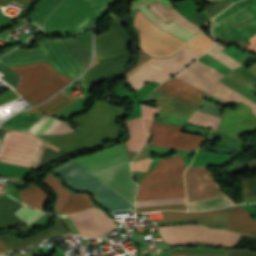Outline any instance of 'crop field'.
Here are the masks:
<instances>
[{"mask_svg": "<svg viewBox=\"0 0 256 256\" xmlns=\"http://www.w3.org/2000/svg\"><path fill=\"white\" fill-rule=\"evenodd\" d=\"M52 170L59 174L70 188L92 193L112 214L134 211L132 204L137 185L131 181L128 161L91 173L132 204L71 160Z\"/></svg>", "mask_w": 256, "mask_h": 256, "instance_id": "obj_1", "label": "crop field"}, {"mask_svg": "<svg viewBox=\"0 0 256 256\" xmlns=\"http://www.w3.org/2000/svg\"><path fill=\"white\" fill-rule=\"evenodd\" d=\"M124 110L94 100L85 114L73 116L71 122L77 126L78 130L67 135L36 136L68 152L89 148L120 136L115 120Z\"/></svg>", "mask_w": 256, "mask_h": 256, "instance_id": "obj_2", "label": "crop field"}, {"mask_svg": "<svg viewBox=\"0 0 256 256\" xmlns=\"http://www.w3.org/2000/svg\"><path fill=\"white\" fill-rule=\"evenodd\" d=\"M12 132L0 128V143ZM48 144L27 132L14 131L1 143L0 161L40 169L56 152L48 148ZM67 154V151L58 150L46 164Z\"/></svg>", "mask_w": 256, "mask_h": 256, "instance_id": "obj_3", "label": "crop field"}, {"mask_svg": "<svg viewBox=\"0 0 256 256\" xmlns=\"http://www.w3.org/2000/svg\"><path fill=\"white\" fill-rule=\"evenodd\" d=\"M214 37L239 43L256 34V0H242L234 3L214 19ZM256 54V35L238 44Z\"/></svg>", "mask_w": 256, "mask_h": 256, "instance_id": "obj_4", "label": "crop field"}, {"mask_svg": "<svg viewBox=\"0 0 256 256\" xmlns=\"http://www.w3.org/2000/svg\"><path fill=\"white\" fill-rule=\"evenodd\" d=\"M183 158L175 154L160 162L142 180L136 200L185 196Z\"/></svg>", "mask_w": 256, "mask_h": 256, "instance_id": "obj_5", "label": "crop field"}, {"mask_svg": "<svg viewBox=\"0 0 256 256\" xmlns=\"http://www.w3.org/2000/svg\"><path fill=\"white\" fill-rule=\"evenodd\" d=\"M10 68L20 77L16 91L33 105L46 100L71 81L46 62Z\"/></svg>", "mask_w": 256, "mask_h": 256, "instance_id": "obj_6", "label": "crop field"}, {"mask_svg": "<svg viewBox=\"0 0 256 256\" xmlns=\"http://www.w3.org/2000/svg\"><path fill=\"white\" fill-rule=\"evenodd\" d=\"M102 6L93 0H64L41 26L49 34H71L91 26Z\"/></svg>", "mask_w": 256, "mask_h": 256, "instance_id": "obj_7", "label": "crop field"}, {"mask_svg": "<svg viewBox=\"0 0 256 256\" xmlns=\"http://www.w3.org/2000/svg\"><path fill=\"white\" fill-rule=\"evenodd\" d=\"M160 233L165 241L176 245L206 244L221 247H234L239 234L210 230L199 225L161 226Z\"/></svg>", "mask_w": 256, "mask_h": 256, "instance_id": "obj_8", "label": "crop field"}, {"mask_svg": "<svg viewBox=\"0 0 256 256\" xmlns=\"http://www.w3.org/2000/svg\"><path fill=\"white\" fill-rule=\"evenodd\" d=\"M222 73L211 66H207L196 60L191 66L184 69L175 77L223 100V101H241L253 108L256 114V105L243 98L233 90L223 85L218 80L224 77Z\"/></svg>", "mask_w": 256, "mask_h": 256, "instance_id": "obj_9", "label": "crop field"}, {"mask_svg": "<svg viewBox=\"0 0 256 256\" xmlns=\"http://www.w3.org/2000/svg\"><path fill=\"white\" fill-rule=\"evenodd\" d=\"M140 48L154 58L174 55L186 42L157 28L140 11L135 19Z\"/></svg>", "mask_w": 256, "mask_h": 256, "instance_id": "obj_10", "label": "crop field"}, {"mask_svg": "<svg viewBox=\"0 0 256 256\" xmlns=\"http://www.w3.org/2000/svg\"><path fill=\"white\" fill-rule=\"evenodd\" d=\"M197 56L198 54L183 48L176 56L151 61L126 79L138 89L152 80L161 83L185 68Z\"/></svg>", "mask_w": 256, "mask_h": 256, "instance_id": "obj_11", "label": "crop field"}, {"mask_svg": "<svg viewBox=\"0 0 256 256\" xmlns=\"http://www.w3.org/2000/svg\"><path fill=\"white\" fill-rule=\"evenodd\" d=\"M37 44L39 46L37 48L30 50L16 49L4 55L0 58V64L11 66L46 60L51 63L58 72L70 78L77 77L62 60L49 38L37 42Z\"/></svg>", "mask_w": 256, "mask_h": 256, "instance_id": "obj_12", "label": "crop field"}, {"mask_svg": "<svg viewBox=\"0 0 256 256\" xmlns=\"http://www.w3.org/2000/svg\"><path fill=\"white\" fill-rule=\"evenodd\" d=\"M163 214L165 219L226 214L228 230L256 237V221L251 220L247 211L241 205L204 212L163 211Z\"/></svg>", "mask_w": 256, "mask_h": 256, "instance_id": "obj_13", "label": "crop field"}, {"mask_svg": "<svg viewBox=\"0 0 256 256\" xmlns=\"http://www.w3.org/2000/svg\"><path fill=\"white\" fill-rule=\"evenodd\" d=\"M181 126L153 123L151 145L196 151L204 137L180 132Z\"/></svg>", "mask_w": 256, "mask_h": 256, "instance_id": "obj_14", "label": "crop field"}, {"mask_svg": "<svg viewBox=\"0 0 256 256\" xmlns=\"http://www.w3.org/2000/svg\"><path fill=\"white\" fill-rule=\"evenodd\" d=\"M70 217L83 237L98 239L118 229L112 220L96 209L71 214Z\"/></svg>", "mask_w": 256, "mask_h": 256, "instance_id": "obj_15", "label": "crop field"}, {"mask_svg": "<svg viewBox=\"0 0 256 256\" xmlns=\"http://www.w3.org/2000/svg\"><path fill=\"white\" fill-rule=\"evenodd\" d=\"M253 109L238 104L237 110L225 109L223 112V121L219 131L238 138L242 132L252 131L256 128V116L251 112Z\"/></svg>", "mask_w": 256, "mask_h": 256, "instance_id": "obj_16", "label": "crop field"}, {"mask_svg": "<svg viewBox=\"0 0 256 256\" xmlns=\"http://www.w3.org/2000/svg\"><path fill=\"white\" fill-rule=\"evenodd\" d=\"M127 159H129L127 151L124 145L121 144L94 155L74 159L73 161L91 172Z\"/></svg>", "mask_w": 256, "mask_h": 256, "instance_id": "obj_17", "label": "crop field"}, {"mask_svg": "<svg viewBox=\"0 0 256 256\" xmlns=\"http://www.w3.org/2000/svg\"><path fill=\"white\" fill-rule=\"evenodd\" d=\"M157 89L176 97L180 100H183L187 103H190L196 107H199L203 101L207 93L177 79L173 78L165 83H163Z\"/></svg>", "mask_w": 256, "mask_h": 256, "instance_id": "obj_18", "label": "crop field"}, {"mask_svg": "<svg viewBox=\"0 0 256 256\" xmlns=\"http://www.w3.org/2000/svg\"><path fill=\"white\" fill-rule=\"evenodd\" d=\"M149 100H156L157 106L161 107L159 113L163 114H170L189 118L192 113L197 111V108L185 102L177 100L169 95H166L158 90L153 92L146 101Z\"/></svg>", "mask_w": 256, "mask_h": 256, "instance_id": "obj_19", "label": "crop field"}, {"mask_svg": "<svg viewBox=\"0 0 256 256\" xmlns=\"http://www.w3.org/2000/svg\"><path fill=\"white\" fill-rule=\"evenodd\" d=\"M95 44L99 58L117 56L128 52L125 42L112 28L96 36Z\"/></svg>", "mask_w": 256, "mask_h": 256, "instance_id": "obj_20", "label": "crop field"}, {"mask_svg": "<svg viewBox=\"0 0 256 256\" xmlns=\"http://www.w3.org/2000/svg\"><path fill=\"white\" fill-rule=\"evenodd\" d=\"M52 227V226H51ZM61 234H68L65 229L60 225L58 221H56V224L43 232H40L32 237L25 238V239H15L11 238L7 235H0L2 240L4 241L5 245L9 249V251L13 249H23L30 245H33L37 242L49 239L51 237L61 235Z\"/></svg>", "mask_w": 256, "mask_h": 256, "instance_id": "obj_21", "label": "crop field"}, {"mask_svg": "<svg viewBox=\"0 0 256 256\" xmlns=\"http://www.w3.org/2000/svg\"><path fill=\"white\" fill-rule=\"evenodd\" d=\"M146 7L152 11L161 21L167 24L173 21L195 35L203 30L202 28L185 19L174 7L166 9L158 1H155Z\"/></svg>", "mask_w": 256, "mask_h": 256, "instance_id": "obj_22", "label": "crop field"}, {"mask_svg": "<svg viewBox=\"0 0 256 256\" xmlns=\"http://www.w3.org/2000/svg\"><path fill=\"white\" fill-rule=\"evenodd\" d=\"M154 0H135L132 4L131 9L140 8L145 15L152 20L155 24H157L162 29L166 30L167 32L178 36L186 41H188L190 38L194 37L192 33L188 32L187 30L181 28L180 26L176 25L175 23L171 22L170 24H165L158 20L146 7L145 5L151 3ZM161 4H163L166 8L172 7V4L168 0H158ZM156 25V26H157Z\"/></svg>", "mask_w": 256, "mask_h": 256, "instance_id": "obj_23", "label": "crop field"}, {"mask_svg": "<svg viewBox=\"0 0 256 256\" xmlns=\"http://www.w3.org/2000/svg\"><path fill=\"white\" fill-rule=\"evenodd\" d=\"M125 67L117 68L114 60H105L100 62L84 74L85 89L112 77Z\"/></svg>", "mask_w": 256, "mask_h": 256, "instance_id": "obj_24", "label": "crop field"}, {"mask_svg": "<svg viewBox=\"0 0 256 256\" xmlns=\"http://www.w3.org/2000/svg\"><path fill=\"white\" fill-rule=\"evenodd\" d=\"M70 127L53 118L43 116L30 131L33 134H63L69 132Z\"/></svg>", "mask_w": 256, "mask_h": 256, "instance_id": "obj_25", "label": "crop field"}, {"mask_svg": "<svg viewBox=\"0 0 256 256\" xmlns=\"http://www.w3.org/2000/svg\"><path fill=\"white\" fill-rule=\"evenodd\" d=\"M76 99H73L62 92L57 94L55 97H53L51 100H49L47 103L32 108L28 111L30 112H40V113H46L49 115H56L58 112L63 110L65 107H67L69 104L74 102Z\"/></svg>", "mask_w": 256, "mask_h": 256, "instance_id": "obj_26", "label": "crop field"}, {"mask_svg": "<svg viewBox=\"0 0 256 256\" xmlns=\"http://www.w3.org/2000/svg\"><path fill=\"white\" fill-rule=\"evenodd\" d=\"M127 126L130 132V139L126 143L127 150L138 152L145 140L142 118L127 121Z\"/></svg>", "mask_w": 256, "mask_h": 256, "instance_id": "obj_27", "label": "crop field"}, {"mask_svg": "<svg viewBox=\"0 0 256 256\" xmlns=\"http://www.w3.org/2000/svg\"><path fill=\"white\" fill-rule=\"evenodd\" d=\"M18 193L24 203L42 211L44 210L48 195L33 183H31L28 189L19 191Z\"/></svg>", "mask_w": 256, "mask_h": 256, "instance_id": "obj_28", "label": "crop field"}, {"mask_svg": "<svg viewBox=\"0 0 256 256\" xmlns=\"http://www.w3.org/2000/svg\"><path fill=\"white\" fill-rule=\"evenodd\" d=\"M51 41L66 64L79 76L86 68L74 58L65 45L63 38H52Z\"/></svg>", "mask_w": 256, "mask_h": 256, "instance_id": "obj_29", "label": "crop field"}, {"mask_svg": "<svg viewBox=\"0 0 256 256\" xmlns=\"http://www.w3.org/2000/svg\"><path fill=\"white\" fill-rule=\"evenodd\" d=\"M42 115L33 114V113H21L6 123H4L1 127L13 129V130H28L29 126L36 122Z\"/></svg>", "mask_w": 256, "mask_h": 256, "instance_id": "obj_30", "label": "crop field"}, {"mask_svg": "<svg viewBox=\"0 0 256 256\" xmlns=\"http://www.w3.org/2000/svg\"><path fill=\"white\" fill-rule=\"evenodd\" d=\"M43 182L45 184L49 185L50 187H52L55 190V192L57 193L58 199L55 204V210L58 213H60L64 209L67 202L69 201L72 193L63 189L61 184L59 183V181L56 178H54L52 175H50L49 173L47 174V176Z\"/></svg>", "mask_w": 256, "mask_h": 256, "instance_id": "obj_31", "label": "crop field"}, {"mask_svg": "<svg viewBox=\"0 0 256 256\" xmlns=\"http://www.w3.org/2000/svg\"><path fill=\"white\" fill-rule=\"evenodd\" d=\"M234 204L229 196L188 202L189 210H209Z\"/></svg>", "mask_w": 256, "mask_h": 256, "instance_id": "obj_32", "label": "crop field"}, {"mask_svg": "<svg viewBox=\"0 0 256 256\" xmlns=\"http://www.w3.org/2000/svg\"><path fill=\"white\" fill-rule=\"evenodd\" d=\"M22 205L19 202L0 200V226H13L22 222L8 208Z\"/></svg>", "mask_w": 256, "mask_h": 256, "instance_id": "obj_33", "label": "crop field"}, {"mask_svg": "<svg viewBox=\"0 0 256 256\" xmlns=\"http://www.w3.org/2000/svg\"><path fill=\"white\" fill-rule=\"evenodd\" d=\"M94 203L90 201V196L86 194H73L69 204L61 214H69L73 212L83 211L94 207Z\"/></svg>", "mask_w": 256, "mask_h": 256, "instance_id": "obj_34", "label": "crop field"}, {"mask_svg": "<svg viewBox=\"0 0 256 256\" xmlns=\"http://www.w3.org/2000/svg\"><path fill=\"white\" fill-rule=\"evenodd\" d=\"M60 2L61 0H44L28 20L40 25Z\"/></svg>", "mask_w": 256, "mask_h": 256, "instance_id": "obj_35", "label": "crop field"}, {"mask_svg": "<svg viewBox=\"0 0 256 256\" xmlns=\"http://www.w3.org/2000/svg\"><path fill=\"white\" fill-rule=\"evenodd\" d=\"M64 40L69 50L80 61V63L87 68L91 59V54L80 44L76 37Z\"/></svg>", "mask_w": 256, "mask_h": 256, "instance_id": "obj_36", "label": "crop field"}, {"mask_svg": "<svg viewBox=\"0 0 256 256\" xmlns=\"http://www.w3.org/2000/svg\"><path fill=\"white\" fill-rule=\"evenodd\" d=\"M213 42V40L201 32L194 39L188 42L185 47L201 55L212 46Z\"/></svg>", "mask_w": 256, "mask_h": 256, "instance_id": "obj_37", "label": "crop field"}, {"mask_svg": "<svg viewBox=\"0 0 256 256\" xmlns=\"http://www.w3.org/2000/svg\"><path fill=\"white\" fill-rule=\"evenodd\" d=\"M222 49H224V47L215 42L214 46L206 54L215 58L216 60H218L219 62H221L231 70L241 65L237 61L232 59L230 56H228L227 54L221 52L220 50Z\"/></svg>", "mask_w": 256, "mask_h": 256, "instance_id": "obj_38", "label": "crop field"}, {"mask_svg": "<svg viewBox=\"0 0 256 256\" xmlns=\"http://www.w3.org/2000/svg\"><path fill=\"white\" fill-rule=\"evenodd\" d=\"M220 120H221L220 117H216L213 115H209V114L197 111L194 114H192L189 120V123L216 129Z\"/></svg>", "mask_w": 256, "mask_h": 256, "instance_id": "obj_39", "label": "crop field"}, {"mask_svg": "<svg viewBox=\"0 0 256 256\" xmlns=\"http://www.w3.org/2000/svg\"><path fill=\"white\" fill-rule=\"evenodd\" d=\"M243 184L242 201L256 202V178L240 179Z\"/></svg>", "mask_w": 256, "mask_h": 256, "instance_id": "obj_40", "label": "crop field"}, {"mask_svg": "<svg viewBox=\"0 0 256 256\" xmlns=\"http://www.w3.org/2000/svg\"><path fill=\"white\" fill-rule=\"evenodd\" d=\"M186 203L185 197L160 200L136 201V207Z\"/></svg>", "mask_w": 256, "mask_h": 256, "instance_id": "obj_41", "label": "crop field"}, {"mask_svg": "<svg viewBox=\"0 0 256 256\" xmlns=\"http://www.w3.org/2000/svg\"><path fill=\"white\" fill-rule=\"evenodd\" d=\"M15 214L25 221L27 224L32 223L34 220H36L42 213L38 212L36 210H33L27 206L21 207Z\"/></svg>", "mask_w": 256, "mask_h": 256, "instance_id": "obj_42", "label": "crop field"}, {"mask_svg": "<svg viewBox=\"0 0 256 256\" xmlns=\"http://www.w3.org/2000/svg\"><path fill=\"white\" fill-rule=\"evenodd\" d=\"M159 109L160 108L156 109L151 106L143 104V119H144L146 131L149 132V130L151 128V124H152L150 119H152L154 115L158 114Z\"/></svg>", "mask_w": 256, "mask_h": 256, "instance_id": "obj_43", "label": "crop field"}, {"mask_svg": "<svg viewBox=\"0 0 256 256\" xmlns=\"http://www.w3.org/2000/svg\"><path fill=\"white\" fill-rule=\"evenodd\" d=\"M160 209L187 210V206L186 204H180V205H167V206H155V207H142V208H136V213L148 212V211H154V210H160Z\"/></svg>", "mask_w": 256, "mask_h": 256, "instance_id": "obj_44", "label": "crop field"}, {"mask_svg": "<svg viewBox=\"0 0 256 256\" xmlns=\"http://www.w3.org/2000/svg\"><path fill=\"white\" fill-rule=\"evenodd\" d=\"M230 3L228 2H220L218 4H214L207 9H205L206 14L208 15L209 19L215 17L219 13H221Z\"/></svg>", "mask_w": 256, "mask_h": 256, "instance_id": "obj_45", "label": "crop field"}, {"mask_svg": "<svg viewBox=\"0 0 256 256\" xmlns=\"http://www.w3.org/2000/svg\"><path fill=\"white\" fill-rule=\"evenodd\" d=\"M146 56H148V55H146L145 53H143V52H141V53H139L138 54V61H137V63L138 62H140L142 59H144ZM151 60H153L151 57H147V58H145L143 61H141L139 64H135L136 66L135 67H133L132 69H130L123 77H128L129 75H131V74H133L134 72H136L137 70H139L140 68H142L145 64H147L149 61H151Z\"/></svg>", "mask_w": 256, "mask_h": 256, "instance_id": "obj_46", "label": "crop field"}, {"mask_svg": "<svg viewBox=\"0 0 256 256\" xmlns=\"http://www.w3.org/2000/svg\"><path fill=\"white\" fill-rule=\"evenodd\" d=\"M107 23H109L112 26V28L115 29L119 33V35L124 39L126 44L129 45L130 37H129L128 33L118 23H116L113 19Z\"/></svg>", "mask_w": 256, "mask_h": 256, "instance_id": "obj_47", "label": "crop field"}, {"mask_svg": "<svg viewBox=\"0 0 256 256\" xmlns=\"http://www.w3.org/2000/svg\"><path fill=\"white\" fill-rule=\"evenodd\" d=\"M152 158L133 162L131 165L132 171H146Z\"/></svg>", "mask_w": 256, "mask_h": 256, "instance_id": "obj_48", "label": "crop field"}, {"mask_svg": "<svg viewBox=\"0 0 256 256\" xmlns=\"http://www.w3.org/2000/svg\"><path fill=\"white\" fill-rule=\"evenodd\" d=\"M17 97H19V95L10 89V90L0 94V104L6 103L10 100L17 98Z\"/></svg>", "mask_w": 256, "mask_h": 256, "instance_id": "obj_49", "label": "crop field"}, {"mask_svg": "<svg viewBox=\"0 0 256 256\" xmlns=\"http://www.w3.org/2000/svg\"><path fill=\"white\" fill-rule=\"evenodd\" d=\"M12 23V17L4 15L0 9V29Z\"/></svg>", "mask_w": 256, "mask_h": 256, "instance_id": "obj_50", "label": "crop field"}, {"mask_svg": "<svg viewBox=\"0 0 256 256\" xmlns=\"http://www.w3.org/2000/svg\"><path fill=\"white\" fill-rule=\"evenodd\" d=\"M11 1L29 6L34 0H0V6H8Z\"/></svg>", "mask_w": 256, "mask_h": 256, "instance_id": "obj_51", "label": "crop field"}, {"mask_svg": "<svg viewBox=\"0 0 256 256\" xmlns=\"http://www.w3.org/2000/svg\"><path fill=\"white\" fill-rule=\"evenodd\" d=\"M189 20L193 21L194 23H196L200 27H203L205 22L207 21L204 18H202L201 16H199L198 14L191 17Z\"/></svg>", "mask_w": 256, "mask_h": 256, "instance_id": "obj_52", "label": "crop field"}, {"mask_svg": "<svg viewBox=\"0 0 256 256\" xmlns=\"http://www.w3.org/2000/svg\"><path fill=\"white\" fill-rule=\"evenodd\" d=\"M228 256H256V253L228 251Z\"/></svg>", "mask_w": 256, "mask_h": 256, "instance_id": "obj_53", "label": "crop field"}, {"mask_svg": "<svg viewBox=\"0 0 256 256\" xmlns=\"http://www.w3.org/2000/svg\"><path fill=\"white\" fill-rule=\"evenodd\" d=\"M130 55L129 56H125L119 59H115V62L117 64V66H124L127 65L128 61H129Z\"/></svg>", "mask_w": 256, "mask_h": 256, "instance_id": "obj_54", "label": "crop field"}, {"mask_svg": "<svg viewBox=\"0 0 256 256\" xmlns=\"http://www.w3.org/2000/svg\"><path fill=\"white\" fill-rule=\"evenodd\" d=\"M95 1L106 8L113 0H95Z\"/></svg>", "mask_w": 256, "mask_h": 256, "instance_id": "obj_55", "label": "crop field"}, {"mask_svg": "<svg viewBox=\"0 0 256 256\" xmlns=\"http://www.w3.org/2000/svg\"><path fill=\"white\" fill-rule=\"evenodd\" d=\"M0 251L1 253L8 252V249L6 248L4 243L1 241V239H0Z\"/></svg>", "mask_w": 256, "mask_h": 256, "instance_id": "obj_56", "label": "crop field"}, {"mask_svg": "<svg viewBox=\"0 0 256 256\" xmlns=\"http://www.w3.org/2000/svg\"><path fill=\"white\" fill-rule=\"evenodd\" d=\"M207 2H210V3H213V2H218L220 0H206ZM227 1H230V2H235L237 0H227Z\"/></svg>", "mask_w": 256, "mask_h": 256, "instance_id": "obj_57", "label": "crop field"}, {"mask_svg": "<svg viewBox=\"0 0 256 256\" xmlns=\"http://www.w3.org/2000/svg\"><path fill=\"white\" fill-rule=\"evenodd\" d=\"M42 254H40L39 252L37 253H33V254H30V255H27V256H41Z\"/></svg>", "mask_w": 256, "mask_h": 256, "instance_id": "obj_58", "label": "crop field"}, {"mask_svg": "<svg viewBox=\"0 0 256 256\" xmlns=\"http://www.w3.org/2000/svg\"><path fill=\"white\" fill-rule=\"evenodd\" d=\"M171 256H198V255H171Z\"/></svg>", "mask_w": 256, "mask_h": 256, "instance_id": "obj_59", "label": "crop field"}, {"mask_svg": "<svg viewBox=\"0 0 256 256\" xmlns=\"http://www.w3.org/2000/svg\"><path fill=\"white\" fill-rule=\"evenodd\" d=\"M1 254V253H0Z\"/></svg>", "mask_w": 256, "mask_h": 256, "instance_id": "obj_60", "label": "crop field"}]
</instances>
